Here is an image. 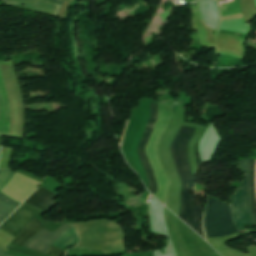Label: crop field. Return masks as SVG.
Returning <instances> with one entry per match:
<instances>
[{
    "label": "crop field",
    "instance_id": "1",
    "mask_svg": "<svg viewBox=\"0 0 256 256\" xmlns=\"http://www.w3.org/2000/svg\"><path fill=\"white\" fill-rule=\"evenodd\" d=\"M192 131V129L181 126L170 147V152L177 168L182 187L187 193L194 188V180L185 155L186 143ZM182 187L181 212L179 218L205 239L201 225L202 211L196 206Z\"/></svg>",
    "mask_w": 256,
    "mask_h": 256
},
{
    "label": "crop field",
    "instance_id": "2",
    "mask_svg": "<svg viewBox=\"0 0 256 256\" xmlns=\"http://www.w3.org/2000/svg\"><path fill=\"white\" fill-rule=\"evenodd\" d=\"M80 237L74 248L102 250L103 253L122 251L123 235L117 224L95 221L73 224Z\"/></svg>",
    "mask_w": 256,
    "mask_h": 256
},
{
    "label": "crop field",
    "instance_id": "3",
    "mask_svg": "<svg viewBox=\"0 0 256 256\" xmlns=\"http://www.w3.org/2000/svg\"><path fill=\"white\" fill-rule=\"evenodd\" d=\"M241 172L246 173V198L248 217L251 225H256L255 205V159H239ZM245 198V179L240 183L234 196H231V216L237 230H243V226L250 225L247 217Z\"/></svg>",
    "mask_w": 256,
    "mask_h": 256
},
{
    "label": "crop field",
    "instance_id": "4",
    "mask_svg": "<svg viewBox=\"0 0 256 256\" xmlns=\"http://www.w3.org/2000/svg\"><path fill=\"white\" fill-rule=\"evenodd\" d=\"M204 226L207 237L238 233L230 217V207L210 197H208Z\"/></svg>",
    "mask_w": 256,
    "mask_h": 256
},
{
    "label": "crop field",
    "instance_id": "5",
    "mask_svg": "<svg viewBox=\"0 0 256 256\" xmlns=\"http://www.w3.org/2000/svg\"><path fill=\"white\" fill-rule=\"evenodd\" d=\"M44 212L23 204L0 226V229L16 237L38 214Z\"/></svg>",
    "mask_w": 256,
    "mask_h": 256
},
{
    "label": "crop field",
    "instance_id": "6",
    "mask_svg": "<svg viewBox=\"0 0 256 256\" xmlns=\"http://www.w3.org/2000/svg\"><path fill=\"white\" fill-rule=\"evenodd\" d=\"M156 119H157V105L151 103L150 104V109H149L147 124H146L143 136L141 138V141H140V144H139V147H138V150H139L142 162H143V166H144L147 178H148L150 191L152 192L153 195L157 190V185H156L155 177L152 173L150 164H149V162L146 158L144 147H145L146 142H147V140H148V138H149V136L152 132L153 125H154Z\"/></svg>",
    "mask_w": 256,
    "mask_h": 256
},
{
    "label": "crop field",
    "instance_id": "7",
    "mask_svg": "<svg viewBox=\"0 0 256 256\" xmlns=\"http://www.w3.org/2000/svg\"><path fill=\"white\" fill-rule=\"evenodd\" d=\"M71 227L72 226L70 225L62 224L53 233H49L43 229L30 240H28L24 247L45 253L48 247Z\"/></svg>",
    "mask_w": 256,
    "mask_h": 256
},
{
    "label": "crop field",
    "instance_id": "8",
    "mask_svg": "<svg viewBox=\"0 0 256 256\" xmlns=\"http://www.w3.org/2000/svg\"><path fill=\"white\" fill-rule=\"evenodd\" d=\"M14 172L11 169L0 170V190L7 184ZM20 205V203L10 199L0 193V224Z\"/></svg>",
    "mask_w": 256,
    "mask_h": 256
},
{
    "label": "crop field",
    "instance_id": "9",
    "mask_svg": "<svg viewBox=\"0 0 256 256\" xmlns=\"http://www.w3.org/2000/svg\"><path fill=\"white\" fill-rule=\"evenodd\" d=\"M58 195L44 189L39 188L36 190L28 199H26L24 202L48 213L56 204L53 200Z\"/></svg>",
    "mask_w": 256,
    "mask_h": 256
},
{
    "label": "crop field",
    "instance_id": "10",
    "mask_svg": "<svg viewBox=\"0 0 256 256\" xmlns=\"http://www.w3.org/2000/svg\"><path fill=\"white\" fill-rule=\"evenodd\" d=\"M11 124L10 103L0 72V134L9 132Z\"/></svg>",
    "mask_w": 256,
    "mask_h": 256
},
{
    "label": "crop field",
    "instance_id": "11",
    "mask_svg": "<svg viewBox=\"0 0 256 256\" xmlns=\"http://www.w3.org/2000/svg\"><path fill=\"white\" fill-rule=\"evenodd\" d=\"M3 2L6 3H20V4H24L27 7H31L34 9H37L39 11H42L44 13H49V14H55L57 15L60 9V5L62 4V0H46L49 2H53L56 4H60V5H56L53 3H49L43 0H1Z\"/></svg>",
    "mask_w": 256,
    "mask_h": 256
},
{
    "label": "crop field",
    "instance_id": "12",
    "mask_svg": "<svg viewBox=\"0 0 256 256\" xmlns=\"http://www.w3.org/2000/svg\"><path fill=\"white\" fill-rule=\"evenodd\" d=\"M43 225L36 218L12 241V243L23 246L24 243L43 229Z\"/></svg>",
    "mask_w": 256,
    "mask_h": 256
},
{
    "label": "crop field",
    "instance_id": "13",
    "mask_svg": "<svg viewBox=\"0 0 256 256\" xmlns=\"http://www.w3.org/2000/svg\"><path fill=\"white\" fill-rule=\"evenodd\" d=\"M63 253V250L57 249L55 247H51L49 251L46 253L48 256H61Z\"/></svg>",
    "mask_w": 256,
    "mask_h": 256
},
{
    "label": "crop field",
    "instance_id": "14",
    "mask_svg": "<svg viewBox=\"0 0 256 256\" xmlns=\"http://www.w3.org/2000/svg\"><path fill=\"white\" fill-rule=\"evenodd\" d=\"M0 256H11V255L5 254V253H3V252L0 250Z\"/></svg>",
    "mask_w": 256,
    "mask_h": 256
},
{
    "label": "crop field",
    "instance_id": "15",
    "mask_svg": "<svg viewBox=\"0 0 256 256\" xmlns=\"http://www.w3.org/2000/svg\"><path fill=\"white\" fill-rule=\"evenodd\" d=\"M173 4L177 5L178 4V0H170Z\"/></svg>",
    "mask_w": 256,
    "mask_h": 256
}]
</instances>
